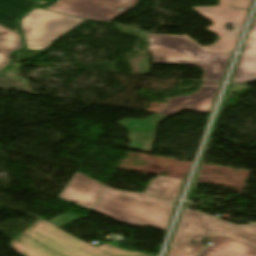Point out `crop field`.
<instances>
[{
  "mask_svg": "<svg viewBox=\"0 0 256 256\" xmlns=\"http://www.w3.org/2000/svg\"><path fill=\"white\" fill-rule=\"evenodd\" d=\"M10 245L23 256H150L107 244L95 248L39 218Z\"/></svg>",
  "mask_w": 256,
  "mask_h": 256,
  "instance_id": "1",
  "label": "crop field"
},
{
  "mask_svg": "<svg viewBox=\"0 0 256 256\" xmlns=\"http://www.w3.org/2000/svg\"><path fill=\"white\" fill-rule=\"evenodd\" d=\"M173 204L144 193H132L105 187L92 211L133 225L166 230Z\"/></svg>",
  "mask_w": 256,
  "mask_h": 256,
  "instance_id": "2",
  "label": "crop field"
},
{
  "mask_svg": "<svg viewBox=\"0 0 256 256\" xmlns=\"http://www.w3.org/2000/svg\"><path fill=\"white\" fill-rule=\"evenodd\" d=\"M153 63L199 65L203 80H221L230 53L207 52L185 36L148 33Z\"/></svg>",
  "mask_w": 256,
  "mask_h": 256,
  "instance_id": "3",
  "label": "crop field"
},
{
  "mask_svg": "<svg viewBox=\"0 0 256 256\" xmlns=\"http://www.w3.org/2000/svg\"><path fill=\"white\" fill-rule=\"evenodd\" d=\"M212 232L256 246V224L235 226L185 208L170 247L198 256L204 247L200 244L202 238L210 237ZM189 240L196 244L191 245Z\"/></svg>",
  "mask_w": 256,
  "mask_h": 256,
  "instance_id": "4",
  "label": "crop field"
},
{
  "mask_svg": "<svg viewBox=\"0 0 256 256\" xmlns=\"http://www.w3.org/2000/svg\"><path fill=\"white\" fill-rule=\"evenodd\" d=\"M84 21L38 8L20 20L28 49L35 50L48 48L55 39Z\"/></svg>",
  "mask_w": 256,
  "mask_h": 256,
  "instance_id": "5",
  "label": "crop field"
},
{
  "mask_svg": "<svg viewBox=\"0 0 256 256\" xmlns=\"http://www.w3.org/2000/svg\"><path fill=\"white\" fill-rule=\"evenodd\" d=\"M232 1L233 0H219L218 6L212 7H191L199 14L214 22L213 25L206 29L220 37V39L211 46L203 48L210 51L234 50L248 11L229 7ZM228 23L233 25V31H228L224 27Z\"/></svg>",
  "mask_w": 256,
  "mask_h": 256,
  "instance_id": "6",
  "label": "crop field"
},
{
  "mask_svg": "<svg viewBox=\"0 0 256 256\" xmlns=\"http://www.w3.org/2000/svg\"><path fill=\"white\" fill-rule=\"evenodd\" d=\"M138 0H60L46 10L77 17L110 22L123 11L118 7L129 10Z\"/></svg>",
  "mask_w": 256,
  "mask_h": 256,
  "instance_id": "7",
  "label": "crop field"
},
{
  "mask_svg": "<svg viewBox=\"0 0 256 256\" xmlns=\"http://www.w3.org/2000/svg\"><path fill=\"white\" fill-rule=\"evenodd\" d=\"M219 87V83L204 82L196 93L188 97L177 96L174 99H167L169 106L160 113L161 115L170 116L182 109L205 113L209 110Z\"/></svg>",
  "mask_w": 256,
  "mask_h": 256,
  "instance_id": "8",
  "label": "crop field"
},
{
  "mask_svg": "<svg viewBox=\"0 0 256 256\" xmlns=\"http://www.w3.org/2000/svg\"><path fill=\"white\" fill-rule=\"evenodd\" d=\"M104 187L81 173H75L59 197L91 210Z\"/></svg>",
  "mask_w": 256,
  "mask_h": 256,
  "instance_id": "9",
  "label": "crop field"
},
{
  "mask_svg": "<svg viewBox=\"0 0 256 256\" xmlns=\"http://www.w3.org/2000/svg\"><path fill=\"white\" fill-rule=\"evenodd\" d=\"M166 116L152 115L145 120H122L119 125L125 127L130 133V149L150 152L156 126L165 119Z\"/></svg>",
  "mask_w": 256,
  "mask_h": 256,
  "instance_id": "10",
  "label": "crop field"
},
{
  "mask_svg": "<svg viewBox=\"0 0 256 256\" xmlns=\"http://www.w3.org/2000/svg\"><path fill=\"white\" fill-rule=\"evenodd\" d=\"M209 241L214 244L205 248L200 256H256V247L214 233Z\"/></svg>",
  "mask_w": 256,
  "mask_h": 256,
  "instance_id": "11",
  "label": "crop field"
},
{
  "mask_svg": "<svg viewBox=\"0 0 256 256\" xmlns=\"http://www.w3.org/2000/svg\"><path fill=\"white\" fill-rule=\"evenodd\" d=\"M33 5H40L31 0H0V25L17 33L16 19Z\"/></svg>",
  "mask_w": 256,
  "mask_h": 256,
  "instance_id": "12",
  "label": "crop field"
},
{
  "mask_svg": "<svg viewBox=\"0 0 256 256\" xmlns=\"http://www.w3.org/2000/svg\"><path fill=\"white\" fill-rule=\"evenodd\" d=\"M181 182L179 179L158 176L151 180L145 193L171 201L177 197Z\"/></svg>",
  "mask_w": 256,
  "mask_h": 256,
  "instance_id": "13",
  "label": "crop field"
},
{
  "mask_svg": "<svg viewBox=\"0 0 256 256\" xmlns=\"http://www.w3.org/2000/svg\"><path fill=\"white\" fill-rule=\"evenodd\" d=\"M22 48L21 36L0 26V70L10 64V53Z\"/></svg>",
  "mask_w": 256,
  "mask_h": 256,
  "instance_id": "14",
  "label": "crop field"
},
{
  "mask_svg": "<svg viewBox=\"0 0 256 256\" xmlns=\"http://www.w3.org/2000/svg\"><path fill=\"white\" fill-rule=\"evenodd\" d=\"M256 80V55H242L233 81L245 83Z\"/></svg>",
  "mask_w": 256,
  "mask_h": 256,
  "instance_id": "15",
  "label": "crop field"
},
{
  "mask_svg": "<svg viewBox=\"0 0 256 256\" xmlns=\"http://www.w3.org/2000/svg\"><path fill=\"white\" fill-rule=\"evenodd\" d=\"M0 87L28 91V92L31 91L30 89L15 82L11 77V73L6 70L0 73Z\"/></svg>",
  "mask_w": 256,
  "mask_h": 256,
  "instance_id": "16",
  "label": "crop field"
},
{
  "mask_svg": "<svg viewBox=\"0 0 256 256\" xmlns=\"http://www.w3.org/2000/svg\"><path fill=\"white\" fill-rule=\"evenodd\" d=\"M243 52L256 54V18L246 40Z\"/></svg>",
  "mask_w": 256,
  "mask_h": 256,
  "instance_id": "17",
  "label": "crop field"
},
{
  "mask_svg": "<svg viewBox=\"0 0 256 256\" xmlns=\"http://www.w3.org/2000/svg\"><path fill=\"white\" fill-rule=\"evenodd\" d=\"M80 219L79 217H76V216H73V215H69V214H66V213H63L51 220H49L50 222L62 227V226H65L71 222H74L76 220Z\"/></svg>",
  "mask_w": 256,
  "mask_h": 256,
  "instance_id": "18",
  "label": "crop field"
},
{
  "mask_svg": "<svg viewBox=\"0 0 256 256\" xmlns=\"http://www.w3.org/2000/svg\"><path fill=\"white\" fill-rule=\"evenodd\" d=\"M251 1L252 0H234V2L230 6L237 7V8L244 9V10H248Z\"/></svg>",
  "mask_w": 256,
  "mask_h": 256,
  "instance_id": "19",
  "label": "crop field"
},
{
  "mask_svg": "<svg viewBox=\"0 0 256 256\" xmlns=\"http://www.w3.org/2000/svg\"><path fill=\"white\" fill-rule=\"evenodd\" d=\"M167 256H194V255L170 248Z\"/></svg>",
  "mask_w": 256,
  "mask_h": 256,
  "instance_id": "20",
  "label": "crop field"
},
{
  "mask_svg": "<svg viewBox=\"0 0 256 256\" xmlns=\"http://www.w3.org/2000/svg\"><path fill=\"white\" fill-rule=\"evenodd\" d=\"M241 89H243V88H242L241 86H239V85L230 87V90H231V91H239V90H241Z\"/></svg>",
  "mask_w": 256,
  "mask_h": 256,
  "instance_id": "21",
  "label": "crop field"
}]
</instances>
